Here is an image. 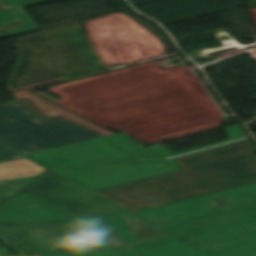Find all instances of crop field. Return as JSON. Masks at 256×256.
I'll return each mask as SVG.
<instances>
[{
    "label": "crop field",
    "mask_w": 256,
    "mask_h": 256,
    "mask_svg": "<svg viewBox=\"0 0 256 256\" xmlns=\"http://www.w3.org/2000/svg\"><path fill=\"white\" fill-rule=\"evenodd\" d=\"M249 139L174 158L181 171L94 193L135 213L256 183Z\"/></svg>",
    "instance_id": "1"
},
{
    "label": "crop field",
    "mask_w": 256,
    "mask_h": 256,
    "mask_svg": "<svg viewBox=\"0 0 256 256\" xmlns=\"http://www.w3.org/2000/svg\"><path fill=\"white\" fill-rule=\"evenodd\" d=\"M135 215L201 250L256 232V184Z\"/></svg>",
    "instance_id": "2"
},
{
    "label": "crop field",
    "mask_w": 256,
    "mask_h": 256,
    "mask_svg": "<svg viewBox=\"0 0 256 256\" xmlns=\"http://www.w3.org/2000/svg\"><path fill=\"white\" fill-rule=\"evenodd\" d=\"M98 137L60 115L45 118L28 100L0 105V141L26 155Z\"/></svg>",
    "instance_id": "3"
},
{
    "label": "crop field",
    "mask_w": 256,
    "mask_h": 256,
    "mask_svg": "<svg viewBox=\"0 0 256 256\" xmlns=\"http://www.w3.org/2000/svg\"><path fill=\"white\" fill-rule=\"evenodd\" d=\"M9 227H0V238L21 255L108 248L82 219Z\"/></svg>",
    "instance_id": "4"
},
{
    "label": "crop field",
    "mask_w": 256,
    "mask_h": 256,
    "mask_svg": "<svg viewBox=\"0 0 256 256\" xmlns=\"http://www.w3.org/2000/svg\"><path fill=\"white\" fill-rule=\"evenodd\" d=\"M47 167L159 159L121 133L27 156Z\"/></svg>",
    "instance_id": "5"
},
{
    "label": "crop field",
    "mask_w": 256,
    "mask_h": 256,
    "mask_svg": "<svg viewBox=\"0 0 256 256\" xmlns=\"http://www.w3.org/2000/svg\"><path fill=\"white\" fill-rule=\"evenodd\" d=\"M23 191L74 219L123 211L121 208L48 170Z\"/></svg>",
    "instance_id": "6"
},
{
    "label": "crop field",
    "mask_w": 256,
    "mask_h": 256,
    "mask_svg": "<svg viewBox=\"0 0 256 256\" xmlns=\"http://www.w3.org/2000/svg\"><path fill=\"white\" fill-rule=\"evenodd\" d=\"M127 246L139 256H207L184 242L132 216L126 211L99 216ZM156 243L146 244L150 242ZM141 246L130 247V245Z\"/></svg>",
    "instance_id": "7"
},
{
    "label": "crop field",
    "mask_w": 256,
    "mask_h": 256,
    "mask_svg": "<svg viewBox=\"0 0 256 256\" xmlns=\"http://www.w3.org/2000/svg\"><path fill=\"white\" fill-rule=\"evenodd\" d=\"M93 191L145 177L178 171L173 159L125 164H107L82 169H51Z\"/></svg>",
    "instance_id": "8"
},
{
    "label": "crop field",
    "mask_w": 256,
    "mask_h": 256,
    "mask_svg": "<svg viewBox=\"0 0 256 256\" xmlns=\"http://www.w3.org/2000/svg\"><path fill=\"white\" fill-rule=\"evenodd\" d=\"M32 204H39L41 207L18 208ZM67 219H71V217L23 191L0 206V223L2 224L34 223Z\"/></svg>",
    "instance_id": "9"
},
{
    "label": "crop field",
    "mask_w": 256,
    "mask_h": 256,
    "mask_svg": "<svg viewBox=\"0 0 256 256\" xmlns=\"http://www.w3.org/2000/svg\"><path fill=\"white\" fill-rule=\"evenodd\" d=\"M54 0H0V39L40 29L22 7Z\"/></svg>",
    "instance_id": "10"
},
{
    "label": "crop field",
    "mask_w": 256,
    "mask_h": 256,
    "mask_svg": "<svg viewBox=\"0 0 256 256\" xmlns=\"http://www.w3.org/2000/svg\"><path fill=\"white\" fill-rule=\"evenodd\" d=\"M210 256H256V233L201 250Z\"/></svg>",
    "instance_id": "11"
},
{
    "label": "crop field",
    "mask_w": 256,
    "mask_h": 256,
    "mask_svg": "<svg viewBox=\"0 0 256 256\" xmlns=\"http://www.w3.org/2000/svg\"><path fill=\"white\" fill-rule=\"evenodd\" d=\"M44 170L27 159L0 163V180L38 176Z\"/></svg>",
    "instance_id": "12"
},
{
    "label": "crop field",
    "mask_w": 256,
    "mask_h": 256,
    "mask_svg": "<svg viewBox=\"0 0 256 256\" xmlns=\"http://www.w3.org/2000/svg\"><path fill=\"white\" fill-rule=\"evenodd\" d=\"M225 129L227 130V133H228V136H229V138L226 141L211 144V145H207V146H203V147H199V148H195V149H191V150L184 151V152H181V153L174 154L170 150H168L167 148L163 147L160 144L149 146L146 149H148L150 152H152L157 157H159L161 159H166L167 157H170V156H176V155L184 154V153H187V152L196 151V150L208 148V147H211V146L223 144V143H226V142L234 141V140H237V139H241V138H244V137H248V135H246L240 129V127L237 124L226 126Z\"/></svg>",
    "instance_id": "13"
},
{
    "label": "crop field",
    "mask_w": 256,
    "mask_h": 256,
    "mask_svg": "<svg viewBox=\"0 0 256 256\" xmlns=\"http://www.w3.org/2000/svg\"><path fill=\"white\" fill-rule=\"evenodd\" d=\"M83 220L103 240V242L109 248L110 247H116V246H122L123 243L103 223V221L98 216L83 218Z\"/></svg>",
    "instance_id": "14"
},
{
    "label": "crop field",
    "mask_w": 256,
    "mask_h": 256,
    "mask_svg": "<svg viewBox=\"0 0 256 256\" xmlns=\"http://www.w3.org/2000/svg\"><path fill=\"white\" fill-rule=\"evenodd\" d=\"M35 178L36 177L0 181V198L4 201L11 198Z\"/></svg>",
    "instance_id": "15"
},
{
    "label": "crop field",
    "mask_w": 256,
    "mask_h": 256,
    "mask_svg": "<svg viewBox=\"0 0 256 256\" xmlns=\"http://www.w3.org/2000/svg\"><path fill=\"white\" fill-rule=\"evenodd\" d=\"M41 256H135L134 254L124 250L122 247L102 249V250H89L71 253L48 254Z\"/></svg>",
    "instance_id": "16"
},
{
    "label": "crop field",
    "mask_w": 256,
    "mask_h": 256,
    "mask_svg": "<svg viewBox=\"0 0 256 256\" xmlns=\"http://www.w3.org/2000/svg\"><path fill=\"white\" fill-rule=\"evenodd\" d=\"M18 158H21V156L12 151L0 153V161H6V160H12V159H18Z\"/></svg>",
    "instance_id": "17"
},
{
    "label": "crop field",
    "mask_w": 256,
    "mask_h": 256,
    "mask_svg": "<svg viewBox=\"0 0 256 256\" xmlns=\"http://www.w3.org/2000/svg\"><path fill=\"white\" fill-rule=\"evenodd\" d=\"M0 256H7V250L0 248Z\"/></svg>",
    "instance_id": "18"
},
{
    "label": "crop field",
    "mask_w": 256,
    "mask_h": 256,
    "mask_svg": "<svg viewBox=\"0 0 256 256\" xmlns=\"http://www.w3.org/2000/svg\"><path fill=\"white\" fill-rule=\"evenodd\" d=\"M6 150H9V149L4 147V146H2V145H0V151H6Z\"/></svg>",
    "instance_id": "19"
},
{
    "label": "crop field",
    "mask_w": 256,
    "mask_h": 256,
    "mask_svg": "<svg viewBox=\"0 0 256 256\" xmlns=\"http://www.w3.org/2000/svg\"><path fill=\"white\" fill-rule=\"evenodd\" d=\"M3 201L0 199V203H2Z\"/></svg>",
    "instance_id": "20"
}]
</instances>
